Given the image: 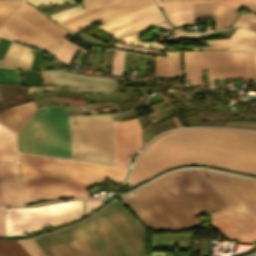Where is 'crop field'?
<instances>
[{
    "instance_id": "crop-field-14",
    "label": "crop field",
    "mask_w": 256,
    "mask_h": 256,
    "mask_svg": "<svg viewBox=\"0 0 256 256\" xmlns=\"http://www.w3.org/2000/svg\"><path fill=\"white\" fill-rule=\"evenodd\" d=\"M162 21L163 19L159 11L153 4H151L128 14L106 21L103 25L97 28L116 38H120Z\"/></svg>"
},
{
    "instance_id": "crop-field-26",
    "label": "crop field",
    "mask_w": 256,
    "mask_h": 256,
    "mask_svg": "<svg viewBox=\"0 0 256 256\" xmlns=\"http://www.w3.org/2000/svg\"><path fill=\"white\" fill-rule=\"evenodd\" d=\"M155 26H162V27H165V28H171L169 25L166 24V22H162V23H160L158 25H155ZM155 26L146 28L144 30L138 31V32L133 33L131 35H128L126 37L120 38V39H118L117 42L124 43V44H132V45L145 46V47L173 50L171 48L165 47V46L160 45V44H156V43H143V42L137 41L139 36H141L147 30H149V29H151V28H153Z\"/></svg>"
},
{
    "instance_id": "crop-field-48",
    "label": "crop field",
    "mask_w": 256,
    "mask_h": 256,
    "mask_svg": "<svg viewBox=\"0 0 256 256\" xmlns=\"http://www.w3.org/2000/svg\"><path fill=\"white\" fill-rule=\"evenodd\" d=\"M204 78H205V83H209L208 76H207V71H204Z\"/></svg>"
},
{
    "instance_id": "crop-field-37",
    "label": "crop field",
    "mask_w": 256,
    "mask_h": 256,
    "mask_svg": "<svg viewBox=\"0 0 256 256\" xmlns=\"http://www.w3.org/2000/svg\"><path fill=\"white\" fill-rule=\"evenodd\" d=\"M34 5L38 4H51V3H73L74 0H28Z\"/></svg>"
},
{
    "instance_id": "crop-field-21",
    "label": "crop field",
    "mask_w": 256,
    "mask_h": 256,
    "mask_svg": "<svg viewBox=\"0 0 256 256\" xmlns=\"http://www.w3.org/2000/svg\"><path fill=\"white\" fill-rule=\"evenodd\" d=\"M0 160L17 161L15 133L0 124Z\"/></svg>"
},
{
    "instance_id": "crop-field-19",
    "label": "crop field",
    "mask_w": 256,
    "mask_h": 256,
    "mask_svg": "<svg viewBox=\"0 0 256 256\" xmlns=\"http://www.w3.org/2000/svg\"><path fill=\"white\" fill-rule=\"evenodd\" d=\"M22 48H23L22 45H19L11 41L3 60L0 61V67L14 68L18 61ZM31 52H32V49H29L26 47L23 48V51L21 53V56L16 68H20V69L30 68V64L33 57V54Z\"/></svg>"
},
{
    "instance_id": "crop-field-46",
    "label": "crop field",
    "mask_w": 256,
    "mask_h": 256,
    "mask_svg": "<svg viewBox=\"0 0 256 256\" xmlns=\"http://www.w3.org/2000/svg\"><path fill=\"white\" fill-rule=\"evenodd\" d=\"M79 4H80V3L70 4V5H68V6H65V7H63V8L58 9V11L63 10V9H66V8H69V7H72V6H76V5H79ZM58 11L55 10V11H52V12H49V13H46V14L49 15V14H52V13H55V12H58Z\"/></svg>"
},
{
    "instance_id": "crop-field-35",
    "label": "crop field",
    "mask_w": 256,
    "mask_h": 256,
    "mask_svg": "<svg viewBox=\"0 0 256 256\" xmlns=\"http://www.w3.org/2000/svg\"><path fill=\"white\" fill-rule=\"evenodd\" d=\"M162 104V103H161ZM160 103H158V105L164 109L169 115L171 113H173L172 111H170L166 106V108L171 112H169L163 105H161ZM157 104L151 105L149 106L153 111V113H151L158 121L166 118L167 116H169L164 110H162Z\"/></svg>"
},
{
    "instance_id": "crop-field-7",
    "label": "crop field",
    "mask_w": 256,
    "mask_h": 256,
    "mask_svg": "<svg viewBox=\"0 0 256 256\" xmlns=\"http://www.w3.org/2000/svg\"><path fill=\"white\" fill-rule=\"evenodd\" d=\"M70 128L74 159L115 164L111 114L71 116Z\"/></svg>"
},
{
    "instance_id": "crop-field-44",
    "label": "crop field",
    "mask_w": 256,
    "mask_h": 256,
    "mask_svg": "<svg viewBox=\"0 0 256 256\" xmlns=\"http://www.w3.org/2000/svg\"><path fill=\"white\" fill-rule=\"evenodd\" d=\"M172 91V90H171ZM172 95H176V94H178L176 91H172V92H170ZM176 98H178L184 105H186L188 108H193L192 107V105L190 104V103H188L187 101H186V99H184L183 97H181L180 95H177V96H175ZM177 99V100H178Z\"/></svg>"
},
{
    "instance_id": "crop-field-23",
    "label": "crop field",
    "mask_w": 256,
    "mask_h": 256,
    "mask_svg": "<svg viewBox=\"0 0 256 256\" xmlns=\"http://www.w3.org/2000/svg\"><path fill=\"white\" fill-rule=\"evenodd\" d=\"M156 76L181 77L179 53L168 58L156 57Z\"/></svg>"
},
{
    "instance_id": "crop-field-38",
    "label": "crop field",
    "mask_w": 256,
    "mask_h": 256,
    "mask_svg": "<svg viewBox=\"0 0 256 256\" xmlns=\"http://www.w3.org/2000/svg\"><path fill=\"white\" fill-rule=\"evenodd\" d=\"M233 26V25H232ZM234 26H245L256 30V24L238 17Z\"/></svg>"
},
{
    "instance_id": "crop-field-29",
    "label": "crop field",
    "mask_w": 256,
    "mask_h": 256,
    "mask_svg": "<svg viewBox=\"0 0 256 256\" xmlns=\"http://www.w3.org/2000/svg\"><path fill=\"white\" fill-rule=\"evenodd\" d=\"M21 1L0 0V27L6 22L11 14L21 5Z\"/></svg>"
},
{
    "instance_id": "crop-field-15",
    "label": "crop field",
    "mask_w": 256,
    "mask_h": 256,
    "mask_svg": "<svg viewBox=\"0 0 256 256\" xmlns=\"http://www.w3.org/2000/svg\"><path fill=\"white\" fill-rule=\"evenodd\" d=\"M113 128L116 164L128 166V156L146 141V137L136 118L113 121Z\"/></svg>"
},
{
    "instance_id": "crop-field-16",
    "label": "crop field",
    "mask_w": 256,
    "mask_h": 256,
    "mask_svg": "<svg viewBox=\"0 0 256 256\" xmlns=\"http://www.w3.org/2000/svg\"><path fill=\"white\" fill-rule=\"evenodd\" d=\"M210 34H188L177 31L168 41L170 43H202L205 46H228V50H256V33L238 28L230 39L205 41V42H185L184 40L210 39Z\"/></svg>"
},
{
    "instance_id": "crop-field-1",
    "label": "crop field",
    "mask_w": 256,
    "mask_h": 256,
    "mask_svg": "<svg viewBox=\"0 0 256 256\" xmlns=\"http://www.w3.org/2000/svg\"><path fill=\"white\" fill-rule=\"evenodd\" d=\"M144 151L126 182L129 187L167 167L187 163L256 174V132L173 130L153 140Z\"/></svg>"
},
{
    "instance_id": "crop-field-31",
    "label": "crop field",
    "mask_w": 256,
    "mask_h": 256,
    "mask_svg": "<svg viewBox=\"0 0 256 256\" xmlns=\"http://www.w3.org/2000/svg\"><path fill=\"white\" fill-rule=\"evenodd\" d=\"M0 83H21L18 70L0 69Z\"/></svg>"
},
{
    "instance_id": "crop-field-34",
    "label": "crop field",
    "mask_w": 256,
    "mask_h": 256,
    "mask_svg": "<svg viewBox=\"0 0 256 256\" xmlns=\"http://www.w3.org/2000/svg\"><path fill=\"white\" fill-rule=\"evenodd\" d=\"M124 52L115 50L112 74H122Z\"/></svg>"
},
{
    "instance_id": "crop-field-36",
    "label": "crop field",
    "mask_w": 256,
    "mask_h": 256,
    "mask_svg": "<svg viewBox=\"0 0 256 256\" xmlns=\"http://www.w3.org/2000/svg\"><path fill=\"white\" fill-rule=\"evenodd\" d=\"M107 200L109 199L85 201V214L89 213Z\"/></svg>"
},
{
    "instance_id": "crop-field-39",
    "label": "crop field",
    "mask_w": 256,
    "mask_h": 256,
    "mask_svg": "<svg viewBox=\"0 0 256 256\" xmlns=\"http://www.w3.org/2000/svg\"><path fill=\"white\" fill-rule=\"evenodd\" d=\"M0 235H5V208H0Z\"/></svg>"
},
{
    "instance_id": "crop-field-25",
    "label": "crop field",
    "mask_w": 256,
    "mask_h": 256,
    "mask_svg": "<svg viewBox=\"0 0 256 256\" xmlns=\"http://www.w3.org/2000/svg\"><path fill=\"white\" fill-rule=\"evenodd\" d=\"M77 50L83 53H89L65 39L52 54L69 65Z\"/></svg>"
},
{
    "instance_id": "crop-field-24",
    "label": "crop field",
    "mask_w": 256,
    "mask_h": 256,
    "mask_svg": "<svg viewBox=\"0 0 256 256\" xmlns=\"http://www.w3.org/2000/svg\"><path fill=\"white\" fill-rule=\"evenodd\" d=\"M155 1L159 6L163 7L164 12L192 6V4H196V3H220L226 6H234V7L242 8L245 2V0H194V1H186V2H174V3H161V0H155ZM253 1H256V0H253Z\"/></svg>"
},
{
    "instance_id": "crop-field-18",
    "label": "crop field",
    "mask_w": 256,
    "mask_h": 256,
    "mask_svg": "<svg viewBox=\"0 0 256 256\" xmlns=\"http://www.w3.org/2000/svg\"><path fill=\"white\" fill-rule=\"evenodd\" d=\"M239 9L215 4L193 5L194 22L203 16L210 15L214 18L215 29L229 27L236 17Z\"/></svg>"
},
{
    "instance_id": "crop-field-42",
    "label": "crop field",
    "mask_w": 256,
    "mask_h": 256,
    "mask_svg": "<svg viewBox=\"0 0 256 256\" xmlns=\"http://www.w3.org/2000/svg\"><path fill=\"white\" fill-rule=\"evenodd\" d=\"M177 49H191V50H227V47H202V48L177 47Z\"/></svg>"
},
{
    "instance_id": "crop-field-32",
    "label": "crop field",
    "mask_w": 256,
    "mask_h": 256,
    "mask_svg": "<svg viewBox=\"0 0 256 256\" xmlns=\"http://www.w3.org/2000/svg\"><path fill=\"white\" fill-rule=\"evenodd\" d=\"M112 47L131 50V51H136V52H140V53L154 54V55L168 56V55L172 54V52H165V51L144 49V48H138V47H131V46H126V45H122V44H118V43L113 44Z\"/></svg>"
},
{
    "instance_id": "crop-field-20",
    "label": "crop field",
    "mask_w": 256,
    "mask_h": 256,
    "mask_svg": "<svg viewBox=\"0 0 256 256\" xmlns=\"http://www.w3.org/2000/svg\"><path fill=\"white\" fill-rule=\"evenodd\" d=\"M34 102L13 107L0 115V122L18 131L35 111Z\"/></svg>"
},
{
    "instance_id": "crop-field-28",
    "label": "crop field",
    "mask_w": 256,
    "mask_h": 256,
    "mask_svg": "<svg viewBox=\"0 0 256 256\" xmlns=\"http://www.w3.org/2000/svg\"><path fill=\"white\" fill-rule=\"evenodd\" d=\"M0 256H30L16 241L0 242Z\"/></svg>"
},
{
    "instance_id": "crop-field-47",
    "label": "crop field",
    "mask_w": 256,
    "mask_h": 256,
    "mask_svg": "<svg viewBox=\"0 0 256 256\" xmlns=\"http://www.w3.org/2000/svg\"><path fill=\"white\" fill-rule=\"evenodd\" d=\"M128 92H129V94H130L131 98H132V99H134L135 97H134V95H133L132 91H131V90H129ZM128 92H127V91H125V93H126V95H127L128 99L130 100L131 98H130V96H129Z\"/></svg>"
},
{
    "instance_id": "crop-field-6",
    "label": "crop field",
    "mask_w": 256,
    "mask_h": 256,
    "mask_svg": "<svg viewBox=\"0 0 256 256\" xmlns=\"http://www.w3.org/2000/svg\"><path fill=\"white\" fill-rule=\"evenodd\" d=\"M17 137L20 151L71 158L67 106L39 108Z\"/></svg>"
},
{
    "instance_id": "crop-field-41",
    "label": "crop field",
    "mask_w": 256,
    "mask_h": 256,
    "mask_svg": "<svg viewBox=\"0 0 256 256\" xmlns=\"http://www.w3.org/2000/svg\"><path fill=\"white\" fill-rule=\"evenodd\" d=\"M9 43H10V40L0 38V59H2Z\"/></svg>"
},
{
    "instance_id": "crop-field-11",
    "label": "crop field",
    "mask_w": 256,
    "mask_h": 256,
    "mask_svg": "<svg viewBox=\"0 0 256 256\" xmlns=\"http://www.w3.org/2000/svg\"><path fill=\"white\" fill-rule=\"evenodd\" d=\"M234 211L256 212V182L196 170ZM208 175V178L205 176Z\"/></svg>"
},
{
    "instance_id": "crop-field-8",
    "label": "crop field",
    "mask_w": 256,
    "mask_h": 256,
    "mask_svg": "<svg viewBox=\"0 0 256 256\" xmlns=\"http://www.w3.org/2000/svg\"><path fill=\"white\" fill-rule=\"evenodd\" d=\"M68 34L34 7L24 5L1 28L0 35L47 52Z\"/></svg>"
},
{
    "instance_id": "crop-field-50",
    "label": "crop field",
    "mask_w": 256,
    "mask_h": 256,
    "mask_svg": "<svg viewBox=\"0 0 256 256\" xmlns=\"http://www.w3.org/2000/svg\"><path fill=\"white\" fill-rule=\"evenodd\" d=\"M170 1H186V0H169V2H170Z\"/></svg>"
},
{
    "instance_id": "crop-field-9",
    "label": "crop field",
    "mask_w": 256,
    "mask_h": 256,
    "mask_svg": "<svg viewBox=\"0 0 256 256\" xmlns=\"http://www.w3.org/2000/svg\"><path fill=\"white\" fill-rule=\"evenodd\" d=\"M74 206H82V200L46 205L37 208H6V211ZM81 215L82 207L6 212V235H22L39 230L41 228L70 222L81 217Z\"/></svg>"
},
{
    "instance_id": "crop-field-2",
    "label": "crop field",
    "mask_w": 256,
    "mask_h": 256,
    "mask_svg": "<svg viewBox=\"0 0 256 256\" xmlns=\"http://www.w3.org/2000/svg\"><path fill=\"white\" fill-rule=\"evenodd\" d=\"M32 240L47 256H144V230L118 201Z\"/></svg>"
},
{
    "instance_id": "crop-field-13",
    "label": "crop field",
    "mask_w": 256,
    "mask_h": 256,
    "mask_svg": "<svg viewBox=\"0 0 256 256\" xmlns=\"http://www.w3.org/2000/svg\"><path fill=\"white\" fill-rule=\"evenodd\" d=\"M44 84H55L57 87H93L95 89H55L53 86L30 87L29 92L74 90L89 92H114L117 80L80 76L64 72V69L41 71Z\"/></svg>"
},
{
    "instance_id": "crop-field-49",
    "label": "crop field",
    "mask_w": 256,
    "mask_h": 256,
    "mask_svg": "<svg viewBox=\"0 0 256 256\" xmlns=\"http://www.w3.org/2000/svg\"><path fill=\"white\" fill-rule=\"evenodd\" d=\"M159 94V93H158ZM161 94V93H160ZM159 94V95H160ZM161 96V95H160ZM162 97V96H161ZM163 98V97H162ZM164 99V98H163ZM165 100V99H164ZM167 104H169L174 110L178 111L173 105H171L169 102L165 101Z\"/></svg>"
},
{
    "instance_id": "crop-field-10",
    "label": "crop field",
    "mask_w": 256,
    "mask_h": 256,
    "mask_svg": "<svg viewBox=\"0 0 256 256\" xmlns=\"http://www.w3.org/2000/svg\"><path fill=\"white\" fill-rule=\"evenodd\" d=\"M186 65L192 68H213V72H247L248 73H212V69H191L186 66L187 78H195L196 84H202L201 70H208L209 80L224 78H245L253 81L250 52L238 53H203L185 52Z\"/></svg>"
},
{
    "instance_id": "crop-field-4",
    "label": "crop field",
    "mask_w": 256,
    "mask_h": 256,
    "mask_svg": "<svg viewBox=\"0 0 256 256\" xmlns=\"http://www.w3.org/2000/svg\"><path fill=\"white\" fill-rule=\"evenodd\" d=\"M193 214L221 210L211 216L256 219V213L234 212L195 170L171 173L160 178ZM211 217L228 238L256 242V220Z\"/></svg>"
},
{
    "instance_id": "crop-field-40",
    "label": "crop field",
    "mask_w": 256,
    "mask_h": 256,
    "mask_svg": "<svg viewBox=\"0 0 256 256\" xmlns=\"http://www.w3.org/2000/svg\"><path fill=\"white\" fill-rule=\"evenodd\" d=\"M41 55H42V52H40L39 50L36 49L35 54H34V58H33V61H32L31 69H38L40 59H41Z\"/></svg>"
},
{
    "instance_id": "crop-field-5",
    "label": "crop field",
    "mask_w": 256,
    "mask_h": 256,
    "mask_svg": "<svg viewBox=\"0 0 256 256\" xmlns=\"http://www.w3.org/2000/svg\"><path fill=\"white\" fill-rule=\"evenodd\" d=\"M121 200L147 228L179 232L201 223L160 179Z\"/></svg>"
},
{
    "instance_id": "crop-field-43",
    "label": "crop field",
    "mask_w": 256,
    "mask_h": 256,
    "mask_svg": "<svg viewBox=\"0 0 256 256\" xmlns=\"http://www.w3.org/2000/svg\"><path fill=\"white\" fill-rule=\"evenodd\" d=\"M243 8L256 12V2L246 0Z\"/></svg>"
},
{
    "instance_id": "crop-field-30",
    "label": "crop field",
    "mask_w": 256,
    "mask_h": 256,
    "mask_svg": "<svg viewBox=\"0 0 256 256\" xmlns=\"http://www.w3.org/2000/svg\"><path fill=\"white\" fill-rule=\"evenodd\" d=\"M82 12H85V11L82 9L81 5H79V6H76V7H73V8H69V9L60 11L58 13L49 15V17H51L53 20L58 22V21H61L63 19L69 18L71 16L80 14Z\"/></svg>"
},
{
    "instance_id": "crop-field-45",
    "label": "crop field",
    "mask_w": 256,
    "mask_h": 256,
    "mask_svg": "<svg viewBox=\"0 0 256 256\" xmlns=\"http://www.w3.org/2000/svg\"><path fill=\"white\" fill-rule=\"evenodd\" d=\"M240 17L245 18V19H247V20H250V21L256 23V16H255V15H252V14H250V13L243 14V15H241Z\"/></svg>"
},
{
    "instance_id": "crop-field-22",
    "label": "crop field",
    "mask_w": 256,
    "mask_h": 256,
    "mask_svg": "<svg viewBox=\"0 0 256 256\" xmlns=\"http://www.w3.org/2000/svg\"><path fill=\"white\" fill-rule=\"evenodd\" d=\"M139 88H141V87H139ZM139 88H137V89H139ZM117 89L129 90V89H134V88L117 86ZM117 91H121V90H117ZM44 95H45V98H52V97H54L55 92L44 93ZM38 96H39V99L44 98L43 93H38ZM38 96H37V93H35L34 99H38ZM56 96L72 97V92H56ZM73 96H86V93H73ZM90 96H91V102H93V98H94V102H105V101H109V100L123 102L119 92L114 93V94H108L109 100H108L107 94H93V98H92V94H90ZM90 96H89V94H87V101H90Z\"/></svg>"
},
{
    "instance_id": "crop-field-27",
    "label": "crop field",
    "mask_w": 256,
    "mask_h": 256,
    "mask_svg": "<svg viewBox=\"0 0 256 256\" xmlns=\"http://www.w3.org/2000/svg\"><path fill=\"white\" fill-rule=\"evenodd\" d=\"M165 15L168 20L175 26L193 24L192 7L166 12Z\"/></svg>"
},
{
    "instance_id": "crop-field-17",
    "label": "crop field",
    "mask_w": 256,
    "mask_h": 256,
    "mask_svg": "<svg viewBox=\"0 0 256 256\" xmlns=\"http://www.w3.org/2000/svg\"><path fill=\"white\" fill-rule=\"evenodd\" d=\"M0 204H25L17 163L0 162Z\"/></svg>"
},
{
    "instance_id": "crop-field-12",
    "label": "crop field",
    "mask_w": 256,
    "mask_h": 256,
    "mask_svg": "<svg viewBox=\"0 0 256 256\" xmlns=\"http://www.w3.org/2000/svg\"><path fill=\"white\" fill-rule=\"evenodd\" d=\"M81 2L87 12L58 22L73 33L96 22H104L151 4L150 0H81Z\"/></svg>"
},
{
    "instance_id": "crop-field-33",
    "label": "crop field",
    "mask_w": 256,
    "mask_h": 256,
    "mask_svg": "<svg viewBox=\"0 0 256 256\" xmlns=\"http://www.w3.org/2000/svg\"><path fill=\"white\" fill-rule=\"evenodd\" d=\"M31 256H46L38 246L31 240L17 241Z\"/></svg>"
},
{
    "instance_id": "crop-field-3",
    "label": "crop field",
    "mask_w": 256,
    "mask_h": 256,
    "mask_svg": "<svg viewBox=\"0 0 256 256\" xmlns=\"http://www.w3.org/2000/svg\"><path fill=\"white\" fill-rule=\"evenodd\" d=\"M27 204L57 197H86L110 177L122 182L128 168L18 153ZM88 190V189H87Z\"/></svg>"
}]
</instances>
